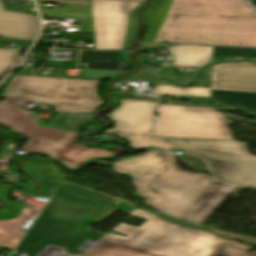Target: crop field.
<instances>
[{
	"label": "crop field",
	"mask_w": 256,
	"mask_h": 256,
	"mask_svg": "<svg viewBox=\"0 0 256 256\" xmlns=\"http://www.w3.org/2000/svg\"><path fill=\"white\" fill-rule=\"evenodd\" d=\"M113 165L117 173L135 178L146 205L199 225L237 187L178 169L172 151L151 150Z\"/></svg>",
	"instance_id": "1"
},
{
	"label": "crop field",
	"mask_w": 256,
	"mask_h": 256,
	"mask_svg": "<svg viewBox=\"0 0 256 256\" xmlns=\"http://www.w3.org/2000/svg\"><path fill=\"white\" fill-rule=\"evenodd\" d=\"M137 207L116 198L90 189L63 183L35 221L17 251L27 256H37L48 244L68 249L76 255V250L86 240L96 242L104 233L88 227L109 217L115 210L129 215Z\"/></svg>",
	"instance_id": "2"
},
{
	"label": "crop field",
	"mask_w": 256,
	"mask_h": 256,
	"mask_svg": "<svg viewBox=\"0 0 256 256\" xmlns=\"http://www.w3.org/2000/svg\"><path fill=\"white\" fill-rule=\"evenodd\" d=\"M154 42L256 47V12L241 0H174Z\"/></svg>",
	"instance_id": "3"
},
{
	"label": "crop field",
	"mask_w": 256,
	"mask_h": 256,
	"mask_svg": "<svg viewBox=\"0 0 256 256\" xmlns=\"http://www.w3.org/2000/svg\"><path fill=\"white\" fill-rule=\"evenodd\" d=\"M129 216L147 221L140 227L121 223L83 256H208L226 240L204 230L181 228L137 208Z\"/></svg>",
	"instance_id": "4"
},
{
	"label": "crop field",
	"mask_w": 256,
	"mask_h": 256,
	"mask_svg": "<svg viewBox=\"0 0 256 256\" xmlns=\"http://www.w3.org/2000/svg\"><path fill=\"white\" fill-rule=\"evenodd\" d=\"M99 82L15 75L4 90V98L19 106L33 101L56 105L55 112L90 113L104 104L97 94Z\"/></svg>",
	"instance_id": "5"
},
{
	"label": "crop field",
	"mask_w": 256,
	"mask_h": 256,
	"mask_svg": "<svg viewBox=\"0 0 256 256\" xmlns=\"http://www.w3.org/2000/svg\"><path fill=\"white\" fill-rule=\"evenodd\" d=\"M199 157L216 180L256 188V156L235 140L156 137Z\"/></svg>",
	"instance_id": "6"
},
{
	"label": "crop field",
	"mask_w": 256,
	"mask_h": 256,
	"mask_svg": "<svg viewBox=\"0 0 256 256\" xmlns=\"http://www.w3.org/2000/svg\"><path fill=\"white\" fill-rule=\"evenodd\" d=\"M0 124L30 138L23 151L45 153L71 169L92 157H98L96 149L71 143L76 132L39 127L25 111L5 100L0 102Z\"/></svg>",
	"instance_id": "7"
},
{
	"label": "crop field",
	"mask_w": 256,
	"mask_h": 256,
	"mask_svg": "<svg viewBox=\"0 0 256 256\" xmlns=\"http://www.w3.org/2000/svg\"><path fill=\"white\" fill-rule=\"evenodd\" d=\"M153 136L233 139L224 114L213 108L159 105Z\"/></svg>",
	"instance_id": "8"
},
{
	"label": "crop field",
	"mask_w": 256,
	"mask_h": 256,
	"mask_svg": "<svg viewBox=\"0 0 256 256\" xmlns=\"http://www.w3.org/2000/svg\"><path fill=\"white\" fill-rule=\"evenodd\" d=\"M210 101L256 116V65L242 62L213 66Z\"/></svg>",
	"instance_id": "9"
},
{
	"label": "crop field",
	"mask_w": 256,
	"mask_h": 256,
	"mask_svg": "<svg viewBox=\"0 0 256 256\" xmlns=\"http://www.w3.org/2000/svg\"><path fill=\"white\" fill-rule=\"evenodd\" d=\"M139 2L92 0L96 49L121 50L128 13Z\"/></svg>",
	"instance_id": "10"
},
{
	"label": "crop field",
	"mask_w": 256,
	"mask_h": 256,
	"mask_svg": "<svg viewBox=\"0 0 256 256\" xmlns=\"http://www.w3.org/2000/svg\"><path fill=\"white\" fill-rule=\"evenodd\" d=\"M156 102L121 99V106L107 115L116 121L109 132L116 134L150 133Z\"/></svg>",
	"instance_id": "11"
},
{
	"label": "crop field",
	"mask_w": 256,
	"mask_h": 256,
	"mask_svg": "<svg viewBox=\"0 0 256 256\" xmlns=\"http://www.w3.org/2000/svg\"><path fill=\"white\" fill-rule=\"evenodd\" d=\"M23 167L28 174L42 181V187L33 193L35 196L52 198L55 193L54 185L61 184L67 179V176L60 173L50 162H24Z\"/></svg>",
	"instance_id": "12"
},
{
	"label": "crop field",
	"mask_w": 256,
	"mask_h": 256,
	"mask_svg": "<svg viewBox=\"0 0 256 256\" xmlns=\"http://www.w3.org/2000/svg\"><path fill=\"white\" fill-rule=\"evenodd\" d=\"M33 15L0 10V36L30 40Z\"/></svg>",
	"instance_id": "13"
},
{
	"label": "crop field",
	"mask_w": 256,
	"mask_h": 256,
	"mask_svg": "<svg viewBox=\"0 0 256 256\" xmlns=\"http://www.w3.org/2000/svg\"><path fill=\"white\" fill-rule=\"evenodd\" d=\"M169 50L175 56L172 66L200 67L211 60L212 47L179 45Z\"/></svg>",
	"instance_id": "14"
},
{
	"label": "crop field",
	"mask_w": 256,
	"mask_h": 256,
	"mask_svg": "<svg viewBox=\"0 0 256 256\" xmlns=\"http://www.w3.org/2000/svg\"><path fill=\"white\" fill-rule=\"evenodd\" d=\"M41 206L29 204L21 214L11 221H0V246L14 249L16 243L23 236L19 229L23 226L26 218L32 213H39Z\"/></svg>",
	"instance_id": "15"
},
{
	"label": "crop field",
	"mask_w": 256,
	"mask_h": 256,
	"mask_svg": "<svg viewBox=\"0 0 256 256\" xmlns=\"http://www.w3.org/2000/svg\"><path fill=\"white\" fill-rule=\"evenodd\" d=\"M79 61L87 62L88 69L131 70L133 65L122 60L117 52L82 51Z\"/></svg>",
	"instance_id": "16"
},
{
	"label": "crop field",
	"mask_w": 256,
	"mask_h": 256,
	"mask_svg": "<svg viewBox=\"0 0 256 256\" xmlns=\"http://www.w3.org/2000/svg\"><path fill=\"white\" fill-rule=\"evenodd\" d=\"M159 7L146 10L144 12V18L147 21L149 30L143 41L153 42L173 0H153Z\"/></svg>",
	"instance_id": "17"
},
{
	"label": "crop field",
	"mask_w": 256,
	"mask_h": 256,
	"mask_svg": "<svg viewBox=\"0 0 256 256\" xmlns=\"http://www.w3.org/2000/svg\"><path fill=\"white\" fill-rule=\"evenodd\" d=\"M157 95L162 96H202L210 97V88H180L176 86L156 85L153 89Z\"/></svg>",
	"instance_id": "18"
},
{
	"label": "crop field",
	"mask_w": 256,
	"mask_h": 256,
	"mask_svg": "<svg viewBox=\"0 0 256 256\" xmlns=\"http://www.w3.org/2000/svg\"><path fill=\"white\" fill-rule=\"evenodd\" d=\"M42 15L92 20L91 7L64 5L62 12L40 10Z\"/></svg>",
	"instance_id": "19"
},
{
	"label": "crop field",
	"mask_w": 256,
	"mask_h": 256,
	"mask_svg": "<svg viewBox=\"0 0 256 256\" xmlns=\"http://www.w3.org/2000/svg\"><path fill=\"white\" fill-rule=\"evenodd\" d=\"M14 187L4 184L0 185V197L7 204L4 209L0 210V220H11L16 218L26 205L16 204L7 201L8 191Z\"/></svg>",
	"instance_id": "20"
},
{
	"label": "crop field",
	"mask_w": 256,
	"mask_h": 256,
	"mask_svg": "<svg viewBox=\"0 0 256 256\" xmlns=\"http://www.w3.org/2000/svg\"><path fill=\"white\" fill-rule=\"evenodd\" d=\"M234 57L256 58V49L213 47L212 59H228Z\"/></svg>",
	"instance_id": "21"
},
{
	"label": "crop field",
	"mask_w": 256,
	"mask_h": 256,
	"mask_svg": "<svg viewBox=\"0 0 256 256\" xmlns=\"http://www.w3.org/2000/svg\"><path fill=\"white\" fill-rule=\"evenodd\" d=\"M19 50H0V79H4L18 64Z\"/></svg>",
	"instance_id": "22"
},
{
	"label": "crop field",
	"mask_w": 256,
	"mask_h": 256,
	"mask_svg": "<svg viewBox=\"0 0 256 256\" xmlns=\"http://www.w3.org/2000/svg\"><path fill=\"white\" fill-rule=\"evenodd\" d=\"M119 136L128 138L131 142L132 148L148 147V146L164 147V148L170 147L169 145L159 142L153 138H143L144 135H119Z\"/></svg>",
	"instance_id": "23"
},
{
	"label": "crop field",
	"mask_w": 256,
	"mask_h": 256,
	"mask_svg": "<svg viewBox=\"0 0 256 256\" xmlns=\"http://www.w3.org/2000/svg\"><path fill=\"white\" fill-rule=\"evenodd\" d=\"M140 4V3H139ZM144 5V3H141L139 6H137L133 11H131L129 13V22H128V28H127V33H126V37H125V41H124V45H123V49L122 50H128L129 49V45L131 43V40L135 34L136 28H137V16H136V12L137 10L142 7Z\"/></svg>",
	"instance_id": "24"
},
{
	"label": "crop field",
	"mask_w": 256,
	"mask_h": 256,
	"mask_svg": "<svg viewBox=\"0 0 256 256\" xmlns=\"http://www.w3.org/2000/svg\"><path fill=\"white\" fill-rule=\"evenodd\" d=\"M221 254L223 256H256V251L250 253L236 247L223 244L218 249H216L210 256H215Z\"/></svg>",
	"instance_id": "25"
},
{
	"label": "crop field",
	"mask_w": 256,
	"mask_h": 256,
	"mask_svg": "<svg viewBox=\"0 0 256 256\" xmlns=\"http://www.w3.org/2000/svg\"><path fill=\"white\" fill-rule=\"evenodd\" d=\"M205 229H207V230H209V231H211L215 234H218L222 237H225V238L236 239V240H240V241H243V242H246V243L256 245V238H254V237H249V236H245V235L225 232V231H221V230H217V229H213V228H209V227H205Z\"/></svg>",
	"instance_id": "26"
},
{
	"label": "crop field",
	"mask_w": 256,
	"mask_h": 256,
	"mask_svg": "<svg viewBox=\"0 0 256 256\" xmlns=\"http://www.w3.org/2000/svg\"><path fill=\"white\" fill-rule=\"evenodd\" d=\"M37 2L91 6V0H37Z\"/></svg>",
	"instance_id": "27"
},
{
	"label": "crop field",
	"mask_w": 256,
	"mask_h": 256,
	"mask_svg": "<svg viewBox=\"0 0 256 256\" xmlns=\"http://www.w3.org/2000/svg\"><path fill=\"white\" fill-rule=\"evenodd\" d=\"M44 67H55L54 77L66 78L63 70L59 68L60 67L59 63L46 61Z\"/></svg>",
	"instance_id": "28"
},
{
	"label": "crop field",
	"mask_w": 256,
	"mask_h": 256,
	"mask_svg": "<svg viewBox=\"0 0 256 256\" xmlns=\"http://www.w3.org/2000/svg\"><path fill=\"white\" fill-rule=\"evenodd\" d=\"M160 215H161L162 217L168 219V220L176 221V222L181 223V224H183V225H185V226H187V227L201 228V229H202V227L199 226V225H195V224H192V223H189V222H185V221H182V220H179V219H175V218H172V217H168V216H165V215H162V214H160Z\"/></svg>",
	"instance_id": "29"
},
{
	"label": "crop field",
	"mask_w": 256,
	"mask_h": 256,
	"mask_svg": "<svg viewBox=\"0 0 256 256\" xmlns=\"http://www.w3.org/2000/svg\"><path fill=\"white\" fill-rule=\"evenodd\" d=\"M39 28H40V23H39L38 17L35 16L31 41H34V39L39 31Z\"/></svg>",
	"instance_id": "30"
},
{
	"label": "crop field",
	"mask_w": 256,
	"mask_h": 256,
	"mask_svg": "<svg viewBox=\"0 0 256 256\" xmlns=\"http://www.w3.org/2000/svg\"><path fill=\"white\" fill-rule=\"evenodd\" d=\"M225 243L230 244V245H233V246H236V247H238V248H241V249H244V250H247V251H249V250H251V249L254 248V247L242 245V244H240V243H238V242H235V241H229V240H227Z\"/></svg>",
	"instance_id": "31"
},
{
	"label": "crop field",
	"mask_w": 256,
	"mask_h": 256,
	"mask_svg": "<svg viewBox=\"0 0 256 256\" xmlns=\"http://www.w3.org/2000/svg\"><path fill=\"white\" fill-rule=\"evenodd\" d=\"M123 82H124V80H122V81L118 82L117 84H115V85H114V91H116V88H117L119 85L123 84Z\"/></svg>",
	"instance_id": "32"
},
{
	"label": "crop field",
	"mask_w": 256,
	"mask_h": 256,
	"mask_svg": "<svg viewBox=\"0 0 256 256\" xmlns=\"http://www.w3.org/2000/svg\"><path fill=\"white\" fill-rule=\"evenodd\" d=\"M123 1H139V2H144V0H123Z\"/></svg>",
	"instance_id": "33"
},
{
	"label": "crop field",
	"mask_w": 256,
	"mask_h": 256,
	"mask_svg": "<svg viewBox=\"0 0 256 256\" xmlns=\"http://www.w3.org/2000/svg\"><path fill=\"white\" fill-rule=\"evenodd\" d=\"M0 9L4 10L3 7H2V5H1V3H0Z\"/></svg>",
	"instance_id": "34"
},
{
	"label": "crop field",
	"mask_w": 256,
	"mask_h": 256,
	"mask_svg": "<svg viewBox=\"0 0 256 256\" xmlns=\"http://www.w3.org/2000/svg\"><path fill=\"white\" fill-rule=\"evenodd\" d=\"M247 1H249V0H247Z\"/></svg>",
	"instance_id": "35"
}]
</instances>
